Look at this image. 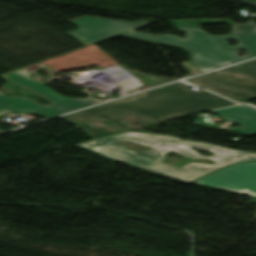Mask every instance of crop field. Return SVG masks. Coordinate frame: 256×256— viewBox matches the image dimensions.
<instances>
[{"label": "crop field", "mask_w": 256, "mask_h": 256, "mask_svg": "<svg viewBox=\"0 0 256 256\" xmlns=\"http://www.w3.org/2000/svg\"><path fill=\"white\" fill-rule=\"evenodd\" d=\"M119 141L134 142L153 149L135 154L129 149L116 144ZM75 146L114 161L126 163L185 182H190L233 162L256 160L255 155L224 147L181 141L178 137L173 136L135 132H127ZM191 147L211 151L215 156L202 157L196 151L190 149ZM167 151H175L188 158L210 159L215 163L214 165L191 163L186 166L176 167L161 162Z\"/></svg>", "instance_id": "8a807250"}, {"label": "crop field", "mask_w": 256, "mask_h": 256, "mask_svg": "<svg viewBox=\"0 0 256 256\" xmlns=\"http://www.w3.org/2000/svg\"><path fill=\"white\" fill-rule=\"evenodd\" d=\"M189 87L191 86L176 83L61 118L71 124H81L84 128L92 130L93 132L87 135L95 140L133 130L120 119L134 114L156 123L177 114H188L232 104L224 98L205 91L192 92L188 89ZM100 118L112 121L126 131L110 132L104 127L94 128L88 122Z\"/></svg>", "instance_id": "ac0d7876"}, {"label": "crop field", "mask_w": 256, "mask_h": 256, "mask_svg": "<svg viewBox=\"0 0 256 256\" xmlns=\"http://www.w3.org/2000/svg\"><path fill=\"white\" fill-rule=\"evenodd\" d=\"M177 30L186 31V38L180 39L174 35L153 36L135 31L123 35L183 47L193 54L191 63L202 72L256 56V31L211 36L201 29ZM228 39H236L240 45L232 47L226 41ZM242 49H246L249 55L239 57L233 53Z\"/></svg>", "instance_id": "34b2d1b8"}, {"label": "crop field", "mask_w": 256, "mask_h": 256, "mask_svg": "<svg viewBox=\"0 0 256 256\" xmlns=\"http://www.w3.org/2000/svg\"><path fill=\"white\" fill-rule=\"evenodd\" d=\"M10 80L22 87L26 86L37 93L41 94L46 99L53 102L50 106L37 104L27 98H10L0 93V116L8 112H24L36 114L45 118L99 103L100 99H71L58 96L52 90L21 76L18 72H12L1 76Z\"/></svg>", "instance_id": "412701ff"}, {"label": "crop field", "mask_w": 256, "mask_h": 256, "mask_svg": "<svg viewBox=\"0 0 256 256\" xmlns=\"http://www.w3.org/2000/svg\"><path fill=\"white\" fill-rule=\"evenodd\" d=\"M191 80L199 86L244 102L256 98V59Z\"/></svg>", "instance_id": "f4fd0767"}, {"label": "crop field", "mask_w": 256, "mask_h": 256, "mask_svg": "<svg viewBox=\"0 0 256 256\" xmlns=\"http://www.w3.org/2000/svg\"><path fill=\"white\" fill-rule=\"evenodd\" d=\"M192 183L256 197V162L237 163Z\"/></svg>", "instance_id": "dd49c442"}, {"label": "crop field", "mask_w": 256, "mask_h": 256, "mask_svg": "<svg viewBox=\"0 0 256 256\" xmlns=\"http://www.w3.org/2000/svg\"><path fill=\"white\" fill-rule=\"evenodd\" d=\"M69 22L80 29L68 33L85 45L106 40L149 24L148 22L140 21H114L90 17H83Z\"/></svg>", "instance_id": "e52e79f7"}, {"label": "crop field", "mask_w": 256, "mask_h": 256, "mask_svg": "<svg viewBox=\"0 0 256 256\" xmlns=\"http://www.w3.org/2000/svg\"><path fill=\"white\" fill-rule=\"evenodd\" d=\"M214 114L225 119L240 124L245 129L229 128L243 136L249 137L256 135V110L245 106H238L218 111H212Z\"/></svg>", "instance_id": "d8731c3e"}, {"label": "crop field", "mask_w": 256, "mask_h": 256, "mask_svg": "<svg viewBox=\"0 0 256 256\" xmlns=\"http://www.w3.org/2000/svg\"><path fill=\"white\" fill-rule=\"evenodd\" d=\"M176 28H200L201 23H228L233 26L234 32H248L256 30L254 21H250L247 25H234L231 21L224 20H182V21H171Z\"/></svg>", "instance_id": "5a996713"}, {"label": "crop field", "mask_w": 256, "mask_h": 256, "mask_svg": "<svg viewBox=\"0 0 256 256\" xmlns=\"http://www.w3.org/2000/svg\"><path fill=\"white\" fill-rule=\"evenodd\" d=\"M181 65H183L185 68H187L192 74L199 72L198 70H196L194 67H192L187 62L181 63Z\"/></svg>", "instance_id": "3316defc"}, {"label": "crop field", "mask_w": 256, "mask_h": 256, "mask_svg": "<svg viewBox=\"0 0 256 256\" xmlns=\"http://www.w3.org/2000/svg\"><path fill=\"white\" fill-rule=\"evenodd\" d=\"M242 1L256 6V0H242Z\"/></svg>", "instance_id": "28ad6ade"}, {"label": "crop field", "mask_w": 256, "mask_h": 256, "mask_svg": "<svg viewBox=\"0 0 256 256\" xmlns=\"http://www.w3.org/2000/svg\"><path fill=\"white\" fill-rule=\"evenodd\" d=\"M0 132H3L2 130H0Z\"/></svg>", "instance_id": "d1516ede"}]
</instances>
